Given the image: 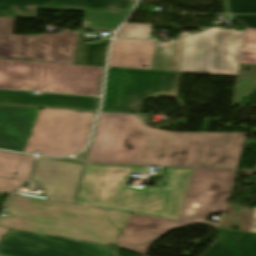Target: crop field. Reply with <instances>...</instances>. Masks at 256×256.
Segmentation results:
<instances>
[{"label": "crop field", "instance_id": "crop-field-18", "mask_svg": "<svg viewBox=\"0 0 256 256\" xmlns=\"http://www.w3.org/2000/svg\"><path fill=\"white\" fill-rule=\"evenodd\" d=\"M33 159V156H22L14 179L0 177V191L14 192L16 189H18L28 179Z\"/></svg>", "mask_w": 256, "mask_h": 256}, {"label": "crop field", "instance_id": "crop-field-11", "mask_svg": "<svg viewBox=\"0 0 256 256\" xmlns=\"http://www.w3.org/2000/svg\"><path fill=\"white\" fill-rule=\"evenodd\" d=\"M233 171L194 169L180 220L217 226L207 216L223 211Z\"/></svg>", "mask_w": 256, "mask_h": 256}, {"label": "crop field", "instance_id": "crop-field-14", "mask_svg": "<svg viewBox=\"0 0 256 256\" xmlns=\"http://www.w3.org/2000/svg\"><path fill=\"white\" fill-rule=\"evenodd\" d=\"M99 98L74 95H33L31 92L0 89V105L34 108H53L92 112L97 108Z\"/></svg>", "mask_w": 256, "mask_h": 256}, {"label": "crop field", "instance_id": "crop-field-5", "mask_svg": "<svg viewBox=\"0 0 256 256\" xmlns=\"http://www.w3.org/2000/svg\"><path fill=\"white\" fill-rule=\"evenodd\" d=\"M103 67L0 59V88L99 95Z\"/></svg>", "mask_w": 256, "mask_h": 256}, {"label": "crop field", "instance_id": "crop-field-19", "mask_svg": "<svg viewBox=\"0 0 256 256\" xmlns=\"http://www.w3.org/2000/svg\"><path fill=\"white\" fill-rule=\"evenodd\" d=\"M239 63L256 64V30L245 29Z\"/></svg>", "mask_w": 256, "mask_h": 256}, {"label": "crop field", "instance_id": "crop-field-2", "mask_svg": "<svg viewBox=\"0 0 256 256\" xmlns=\"http://www.w3.org/2000/svg\"><path fill=\"white\" fill-rule=\"evenodd\" d=\"M243 33L210 28L160 51H153V41L114 40L109 67L236 77Z\"/></svg>", "mask_w": 256, "mask_h": 256}, {"label": "crop field", "instance_id": "crop-field-28", "mask_svg": "<svg viewBox=\"0 0 256 256\" xmlns=\"http://www.w3.org/2000/svg\"><path fill=\"white\" fill-rule=\"evenodd\" d=\"M88 150H89V149H88ZM88 150H86L84 153H82L81 155H78V156H76V157L85 160V159H86V156H87V153H88Z\"/></svg>", "mask_w": 256, "mask_h": 256}, {"label": "crop field", "instance_id": "crop-field-4", "mask_svg": "<svg viewBox=\"0 0 256 256\" xmlns=\"http://www.w3.org/2000/svg\"><path fill=\"white\" fill-rule=\"evenodd\" d=\"M9 215L0 225L36 233L113 245L119 230L104 210L13 195L5 206Z\"/></svg>", "mask_w": 256, "mask_h": 256}, {"label": "crop field", "instance_id": "crop-field-25", "mask_svg": "<svg viewBox=\"0 0 256 256\" xmlns=\"http://www.w3.org/2000/svg\"><path fill=\"white\" fill-rule=\"evenodd\" d=\"M232 18L237 19L244 27L256 28V15H234Z\"/></svg>", "mask_w": 256, "mask_h": 256}, {"label": "crop field", "instance_id": "crop-field-15", "mask_svg": "<svg viewBox=\"0 0 256 256\" xmlns=\"http://www.w3.org/2000/svg\"><path fill=\"white\" fill-rule=\"evenodd\" d=\"M39 109L0 106V149L22 152Z\"/></svg>", "mask_w": 256, "mask_h": 256}, {"label": "crop field", "instance_id": "crop-field-7", "mask_svg": "<svg viewBox=\"0 0 256 256\" xmlns=\"http://www.w3.org/2000/svg\"><path fill=\"white\" fill-rule=\"evenodd\" d=\"M94 113L44 109L39 112L23 152L65 156L86 146Z\"/></svg>", "mask_w": 256, "mask_h": 256}, {"label": "crop field", "instance_id": "crop-field-3", "mask_svg": "<svg viewBox=\"0 0 256 256\" xmlns=\"http://www.w3.org/2000/svg\"><path fill=\"white\" fill-rule=\"evenodd\" d=\"M193 169L168 168L165 187L127 188L132 172L146 167L87 165L75 203L103 209L178 220Z\"/></svg>", "mask_w": 256, "mask_h": 256}, {"label": "crop field", "instance_id": "crop-field-6", "mask_svg": "<svg viewBox=\"0 0 256 256\" xmlns=\"http://www.w3.org/2000/svg\"><path fill=\"white\" fill-rule=\"evenodd\" d=\"M180 73L109 68L103 112L140 113L142 100L175 98Z\"/></svg>", "mask_w": 256, "mask_h": 256}, {"label": "crop field", "instance_id": "crop-field-27", "mask_svg": "<svg viewBox=\"0 0 256 256\" xmlns=\"http://www.w3.org/2000/svg\"><path fill=\"white\" fill-rule=\"evenodd\" d=\"M7 230H8V228L1 227V226H0V240L2 239L1 236H2L3 234H5Z\"/></svg>", "mask_w": 256, "mask_h": 256}, {"label": "crop field", "instance_id": "crop-field-17", "mask_svg": "<svg viewBox=\"0 0 256 256\" xmlns=\"http://www.w3.org/2000/svg\"><path fill=\"white\" fill-rule=\"evenodd\" d=\"M108 39L101 43L83 44L81 34H78L73 63L104 66Z\"/></svg>", "mask_w": 256, "mask_h": 256}, {"label": "crop field", "instance_id": "crop-field-12", "mask_svg": "<svg viewBox=\"0 0 256 256\" xmlns=\"http://www.w3.org/2000/svg\"><path fill=\"white\" fill-rule=\"evenodd\" d=\"M83 164L38 158L34 180L44 188L47 199L73 203Z\"/></svg>", "mask_w": 256, "mask_h": 256}, {"label": "crop field", "instance_id": "crop-field-23", "mask_svg": "<svg viewBox=\"0 0 256 256\" xmlns=\"http://www.w3.org/2000/svg\"><path fill=\"white\" fill-rule=\"evenodd\" d=\"M121 23H105V22H91L84 21L82 23L81 29L88 30H104V31H114V29Z\"/></svg>", "mask_w": 256, "mask_h": 256}, {"label": "crop field", "instance_id": "crop-field-29", "mask_svg": "<svg viewBox=\"0 0 256 256\" xmlns=\"http://www.w3.org/2000/svg\"><path fill=\"white\" fill-rule=\"evenodd\" d=\"M59 160H64V161H70V162H76V163H82L78 160L72 159V158H65V159H59Z\"/></svg>", "mask_w": 256, "mask_h": 256}, {"label": "crop field", "instance_id": "crop-field-20", "mask_svg": "<svg viewBox=\"0 0 256 256\" xmlns=\"http://www.w3.org/2000/svg\"><path fill=\"white\" fill-rule=\"evenodd\" d=\"M151 28L152 25L126 24L117 32L115 38L148 39Z\"/></svg>", "mask_w": 256, "mask_h": 256}, {"label": "crop field", "instance_id": "crop-field-16", "mask_svg": "<svg viewBox=\"0 0 256 256\" xmlns=\"http://www.w3.org/2000/svg\"><path fill=\"white\" fill-rule=\"evenodd\" d=\"M216 229L219 239L201 256H256V234Z\"/></svg>", "mask_w": 256, "mask_h": 256}, {"label": "crop field", "instance_id": "crop-field-8", "mask_svg": "<svg viewBox=\"0 0 256 256\" xmlns=\"http://www.w3.org/2000/svg\"><path fill=\"white\" fill-rule=\"evenodd\" d=\"M15 18L0 17V57L72 63L78 31L13 36Z\"/></svg>", "mask_w": 256, "mask_h": 256}, {"label": "crop field", "instance_id": "crop-field-22", "mask_svg": "<svg viewBox=\"0 0 256 256\" xmlns=\"http://www.w3.org/2000/svg\"><path fill=\"white\" fill-rule=\"evenodd\" d=\"M224 13H256V0H223Z\"/></svg>", "mask_w": 256, "mask_h": 256}, {"label": "crop field", "instance_id": "crop-field-26", "mask_svg": "<svg viewBox=\"0 0 256 256\" xmlns=\"http://www.w3.org/2000/svg\"><path fill=\"white\" fill-rule=\"evenodd\" d=\"M249 232L256 233V208L250 224Z\"/></svg>", "mask_w": 256, "mask_h": 256}, {"label": "crop field", "instance_id": "crop-field-1", "mask_svg": "<svg viewBox=\"0 0 256 256\" xmlns=\"http://www.w3.org/2000/svg\"><path fill=\"white\" fill-rule=\"evenodd\" d=\"M247 133H174L136 115L100 114L87 161L237 169Z\"/></svg>", "mask_w": 256, "mask_h": 256}, {"label": "crop field", "instance_id": "crop-field-21", "mask_svg": "<svg viewBox=\"0 0 256 256\" xmlns=\"http://www.w3.org/2000/svg\"><path fill=\"white\" fill-rule=\"evenodd\" d=\"M20 158V154L0 152V176L13 178Z\"/></svg>", "mask_w": 256, "mask_h": 256}, {"label": "crop field", "instance_id": "crop-field-13", "mask_svg": "<svg viewBox=\"0 0 256 256\" xmlns=\"http://www.w3.org/2000/svg\"><path fill=\"white\" fill-rule=\"evenodd\" d=\"M192 223L131 214L115 245L144 255L151 243L164 234Z\"/></svg>", "mask_w": 256, "mask_h": 256}, {"label": "crop field", "instance_id": "crop-field-10", "mask_svg": "<svg viewBox=\"0 0 256 256\" xmlns=\"http://www.w3.org/2000/svg\"><path fill=\"white\" fill-rule=\"evenodd\" d=\"M135 0H0V16L36 18V9L84 11L85 20L124 22Z\"/></svg>", "mask_w": 256, "mask_h": 256}, {"label": "crop field", "instance_id": "crop-field-9", "mask_svg": "<svg viewBox=\"0 0 256 256\" xmlns=\"http://www.w3.org/2000/svg\"><path fill=\"white\" fill-rule=\"evenodd\" d=\"M4 256H117V248L9 229L0 242Z\"/></svg>", "mask_w": 256, "mask_h": 256}, {"label": "crop field", "instance_id": "crop-field-24", "mask_svg": "<svg viewBox=\"0 0 256 256\" xmlns=\"http://www.w3.org/2000/svg\"><path fill=\"white\" fill-rule=\"evenodd\" d=\"M106 211H107L110 222L120 228H123L127 218L130 215V213H121V212H115V211H109V210H106Z\"/></svg>", "mask_w": 256, "mask_h": 256}]
</instances>
